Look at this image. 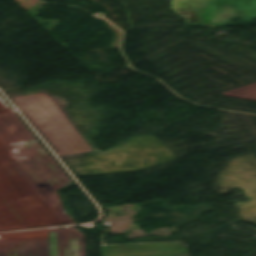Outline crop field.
Wrapping results in <instances>:
<instances>
[{"label":"crop field","mask_w":256,"mask_h":256,"mask_svg":"<svg viewBox=\"0 0 256 256\" xmlns=\"http://www.w3.org/2000/svg\"><path fill=\"white\" fill-rule=\"evenodd\" d=\"M102 256H174L187 252L180 243L101 247Z\"/></svg>","instance_id":"obj_1"}]
</instances>
